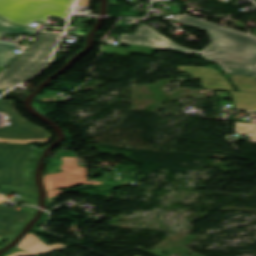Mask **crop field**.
I'll return each mask as SVG.
<instances>
[{"label": "crop field", "mask_w": 256, "mask_h": 256, "mask_svg": "<svg viewBox=\"0 0 256 256\" xmlns=\"http://www.w3.org/2000/svg\"><path fill=\"white\" fill-rule=\"evenodd\" d=\"M172 19L207 31L212 42L198 52L177 45L144 24L134 34L120 36V40L156 49L198 54L216 62L225 73L256 77V39L189 16Z\"/></svg>", "instance_id": "obj_1"}, {"label": "crop field", "mask_w": 256, "mask_h": 256, "mask_svg": "<svg viewBox=\"0 0 256 256\" xmlns=\"http://www.w3.org/2000/svg\"><path fill=\"white\" fill-rule=\"evenodd\" d=\"M60 36L44 32L12 64L0 73V89L20 83L39 72L48 61Z\"/></svg>", "instance_id": "obj_2"}, {"label": "crop field", "mask_w": 256, "mask_h": 256, "mask_svg": "<svg viewBox=\"0 0 256 256\" xmlns=\"http://www.w3.org/2000/svg\"><path fill=\"white\" fill-rule=\"evenodd\" d=\"M74 0H0V16L8 21L30 26L49 16L67 18Z\"/></svg>", "instance_id": "obj_3"}, {"label": "crop field", "mask_w": 256, "mask_h": 256, "mask_svg": "<svg viewBox=\"0 0 256 256\" xmlns=\"http://www.w3.org/2000/svg\"><path fill=\"white\" fill-rule=\"evenodd\" d=\"M0 113L8 114L11 125L0 128V142L9 143H40L51 138V134L24 119L13 108V101L0 100Z\"/></svg>", "instance_id": "obj_4"}, {"label": "crop field", "mask_w": 256, "mask_h": 256, "mask_svg": "<svg viewBox=\"0 0 256 256\" xmlns=\"http://www.w3.org/2000/svg\"><path fill=\"white\" fill-rule=\"evenodd\" d=\"M62 158L64 162V164L61 166L63 172L46 175L43 177L49 197L58 196L63 192L56 189L74 187L81 183L97 184L98 187L106 191L124 186L123 184L85 181L88 177L86 168L78 167L75 158Z\"/></svg>", "instance_id": "obj_5"}, {"label": "crop field", "mask_w": 256, "mask_h": 256, "mask_svg": "<svg viewBox=\"0 0 256 256\" xmlns=\"http://www.w3.org/2000/svg\"><path fill=\"white\" fill-rule=\"evenodd\" d=\"M34 148L0 144V185L24 187L22 167Z\"/></svg>", "instance_id": "obj_6"}, {"label": "crop field", "mask_w": 256, "mask_h": 256, "mask_svg": "<svg viewBox=\"0 0 256 256\" xmlns=\"http://www.w3.org/2000/svg\"><path fill=\"white\" fill-rule=\"evenodd\" d=\"M178 71L189 73L193 79L201 80L202 88L232 90L231 86L214 70L208 67L181 66Z\"/></svg>", "instance_id": "obj_7"}, {"label": "crop field", "mask_w": 256, "mask_h": 256, "mask_svg": "<svg viewBox=\"0 0 256 256\" xmlns=\"http://www.w3.org/2000/svg\"><path fill=\"white\" fill-rule=\"evenodd\" d=\"M64 247L66 246L61 243H58L52 246H47L42 241H40L37 236L28 234L16 247V249H20L25 252H17V253L11 254L10 256L46 254Z\"/></svg>", "instance_id": "obj_8"}, {"label": "crop field", "mask_w": 256, "mask_h": 256, "mask_svg": "<svg viewBox=\"0 0 256 256\" xmlns=\"http://www.w3.org/2000/svg\"><path fill=\"white\" fill-rule=\"evenodd\" d=\"M0 25L5 26H0V36L3 33L17 34L19 32L37 35L39 32L38 30L11 25L1 18ZM13 49V46L0 43V67H5L11 60H13L17 56L16 54L11 53Z\"/></svg>", "instance_id": "obj_9"}, {"label": "crop field", "mask_w": 256, "mask_h": 256, "mask_svg": "<svg viewBox=\"0 0 256 256\" xmlns=\"http://www.w3.org/2000/svg\"><path fill=\"white\" fill-rule=\"evenodd\" d=\"M31 215L32 213L29 212L0 209V235L7 236L10 228L14 224V222L7 220L8 218L16 222L24 223L30 218Z\"/></svg>", "instance_id": "obj_10"}, {"label": "crop field", "mask_w": 256, "mask_h": 256, "mask_svg": "<svg viewBox=\"0 0 256 256\" xmlns=\"http://www.w3.org/2000/svg\"><path fill=\"white\" fill-rule=\"evenodd\" d=\"M236 108L239 110H255L256 94L231 92Z\"/></svg>", "instance_id": "obj_11"}, {"label": "crop field", "mask_w": 256, "mask_h": 256, "mask_svg": "<svg viewBox=\"0 0 256 256\" xmlns=\"http://www.w3.org/2000/svg\"><path fill=\"white\" fill-rule=\"evenodd\" d=\"M104 53L117 54L127 56L130 52L151 55L152 50L145 47L129 46L128 48H121L109 45H102Z\"/></svg>", "instance_id": "obj_12"}, {"label": "crop field", "mask_w": 256, "mask_h": 256, "mask_svg": "<svg viewBox=\"0 0 256 256\" xmlns=\"http://www.w3.org/2000/svg\"><path fill=\"white\" fill-rule=\"evenodd\" d=\"M234 83L241 91L256 93V80L250 77L231 75Z\"/></svg>", "instance_id": "obj_13"}, {"label": "crop field", "mask_w": 256, "mask_h": 256, "mask_svg": "<svg viewBox=\"0 0 256 256\" xmlns=\"http://www.w3.org/2000/svg\"><path fill=\"white\" fill-rule=\"evenodd\" d=\"M234 131L251 134L249 138L252 139L247 142L256 143V124L235 122Z\"/></svg>", "instance_id": "obj_14"}, {"label": "crop field", "mask_w": 256, "mask_h": 256, "mask_svg": "<svg viewBox=\"0 0 256 256\" xmlns=\"http://www.w3.org/2000/svg\"><path fill=\"white\" fill-rule=\"evenodd\" d=\"M88 1L89 0H79L77 5H81V6H88Z\"/></svg>", "instance_id": "obj_15"}, {"label": "crop field", "mask_w": 256, "mask_h": 256, "mask_svg": "<svg viewBox=\"0 0 256 256\" xmlns=\"http://www.w3.org/2000/svg\"><path fill=\"white\" fill-rule=\"evenodd\" d=\"M7 237L0 236V243H2Z\"/></svg>", "instance_id": "obj_16"}, {"label": "crop field", "mask_w": 256, "mask_h": 256, "mask_svg": "<svg viewBox=\"0 0 256 256\" xmlns=\"http://www.w3.org/2000/svg\"><path fill=\"white\" fill-rule=\"evenodd\" d=\"M1 200L5 201L4 198H3V196H0V201H1Z\"/></svg>", "instance_id": "obj_17"}, {"label": "crop field", "mask_w": 256, "mask_h": 256, "mask_svg": "<svg viewBox=\"0 0 256 256\" xmlns=\"http://www.w3.org/2000/svg\"><path fill=\"white\" fill-rule=\"evenodd\" d=\"M2 71V69H0V72Z\"/></svg>", "instance_id": "obj_18"}]
</instances>
